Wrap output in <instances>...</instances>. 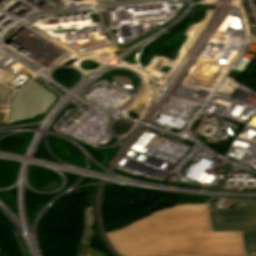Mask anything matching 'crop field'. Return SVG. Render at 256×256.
Returning <instances> with one entry per match:
<instances>
[{
  "mask_svg": "<svg viewBox=\"0 0 256 256\" xmlns=\"http://www.w3.org/2000/svg\"><path fill=\"white\" fill-rule=\"evenodd\" d=\"M106 235L121 256H243L239 232H211L206 204L165 208Z\"/></svg>",
  "mask_w": 256,
  "mask_h": 256,
  "instance_id": "1",
  "label": "crop field"
},
{
  "mask_svg": "<svg viewBox=\"0 0 256 256\" xmlns=\"http://www.w3.org/2000/svg\"><path fill=\"white\" fill-rule=\"evenodd\" d=\"M210 204L213 231H242L245 255L256 254V201H237L234 210H219Z\"/></svg>",
  "mask_w": 256,
  "mask_h": 256,
  "instance_id": "2",
  "label": "crop field"
},
{
  "mask_svg": "<svg viewBox=\"0 0 256 256\" xmlns=\"http://www.w3.org/2000/svg\"><path fill=\"white\" fill-rule=\"evenodd\" d=\"M57 95L36 81L21 88L13 99L7 123L33 119L45 114L56 100Z\"/></svg>",
  "mask_w": 256,
  "mask_h": 256,
  "instance_id": "3",
  "label": "crop field"
},
{
  "mask_svg": "<svg viewBox=\"0 0 256 256\" xmlns=\"http://www.w3.org/2000/svg\"><path fill=\"white\" fill-rule=\"evenodd\" d=\"M92 250L90 251V256H108L94 248H91Z\"/></svg>",
  "mask_w": 256,
  "mask_h": 256,
  "instance_id": "4",
  "label": "crop field"
},
{
  "mask_svg": "<svg viewBox=\"0 0 256 256\" xmlns=\"http://www.w3.org/2000/svg\"><path fill=\"white\" fill-rule=\"evenodd\" d=\"M7 114V110L0 111V125L5 122Z\"/></svg>",
  "mask_w": 256,
  "mask_h": 256,
  "instance_id": "5",
  "label": "crop field"
}]
</instances>
